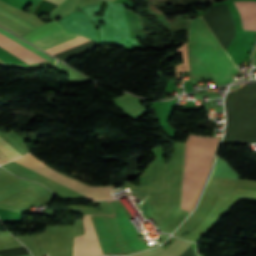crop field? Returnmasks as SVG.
Instances as JSON below:
<instances>
[{"label": "crop field", "mask_w": 256, "mask_h": 256, "mask_svg": "<svg viewBox=\"0 0 256 256\" xmlns=\"http://www.w3.org/2000/svg\"><path fill=\"white\" fill-rule=\"evenodd\" d=\"M111 215H90L103 255L130 254L150 248L141 241L134 226L116 200H107ZM89 215L83 216L85 236L75 237L74 256H101Z\"/></svg>", "instance_id": "obj_1"}, {"label": "crop field", "mask_w": 256, "mask_h": 256, "mask_svg": "<svg viewBox=\"0 0 256 256\" xmlns=\"http://www.w3.org/2000/svg\"><path fill=\"white\" fill-rule=\"evenodd\" d=\"M189 39L190 76H214L217 83L230 81L237 69L200 18L191 20Z\"/></svg>", "instance_id": "obj_2"}, {"label": "crop field", "mask_w": 256, "mask_h": 256, "mask_svg": "<svg viewBox=\"0 0 256 256\" xmlns=\"http://www.w3.org/2000/svg\"><path fill=\"white\" fill-rule=\"evenodd\" d=\"M15 161L43 174L46 175L55 181L89 197L90 199L102 200L111 198L109 189H112V186L108 187H88L78 181L66 178L61 174L53 171L49 167L43 165L37 159H35L30 154H27L23 157L16 159Z\"/></svg>", "instance_id": "obj_3"}, {"label": "crop field", "mask_w": 256, "mask_h": 256, "mask_svg": "<svg viewBox=\"0 0 256 256\" xmlns=\"http://www.w3.org/2000/svg\"><path fill=\"white\" fill-rule=\"evenodd\" d=\"M60 28H62V26H60L59 24H57L56 22H54L52 20L49 23L45 24L44 26H42V27L38 28L37 30L24 36L23 38L32 42L40 37H43L51 32H54ZM78 36H80V35L74 34V33L69 32V31L65 30L64 28H62L54 33H51L43 38H40V39L32 42V44L46 50L48 48H51L53 46H56L58 44H61L65 41H68V40L73 39Z\"/></svg>", "instance_id": "obj_4"}, {"label": "crop field", "mask_w": 256, "mask_h": 256, "mask_svg": "<svg viewBox=\"0 0 256 256\" xmlns=\"http://www.w3.org/2000/svg\"><path fill=\"white\" fill-rule=\"evenodd\" d=\"M0 34L4 35L5 37L13 40L14 42L22 45L23 47L29 49L30 51L38 54L39 56L49 60L53 59L49 55L43 53L42 51L38 50L37 48L31 46L30 44L26 43L25 41L21 40L20 38L14 36L13 34L9 33L8 31L0 28ZM0 63H6V64H26L20 59L16 58L12 54L8 53L7 51L0 48Z\"/></svg>", "instance_id": "obj_5"}, {"label": "crop field", "mask_w": 256, "mask_h": 256, "mask_svg": "<svg viewBox=\"0 0 256 256\" xmlns=\"http://www.w3.org/2000/svg\"><path fill=\"white\" fill-rule=\"evenodd\" d=\"M191 244L192 242L176 238L166 250L160 246L131 256H159L163 250L160 256H180Z\"/></svg>", "instance_id": "obj_6"}, {"label": "crop field", "mask_w": 256, "mask_h": 256, "mask_svg": "<svg viewBox=\"0 0 256 256\" xmlns=\"http://www.w3.org/2000/svg\"><path fill=\"white\" fill-rule=\"evenodd\" d=\"M243 23L244 31H256V2H235Z\"/></svg>", "instance_id": "obj_7"}, {"label": "crop field", "mask_w": 256, "mask_h": 256, "mask_svg": "<svg viewBox=\"0 0 256 256\" xmlns=\"http://www.w3.org/2000/svg\"><path fill=\"white\" fill-rule=\"evenodd\" d=\"M22 156L15 151L3 138L0 137V164Z\"/></svg>", "instance_id": "obj_8"}, {"label": "crop field", "mask_w": 256, "mask_h": 256, "mask_svg": "<svg viewBox=\"0 0 256 256\" xmlns=\"http://www.w3.org/2000/svg\"><path fill=\"white\" fill-rule=\"evenodd\" d=\"M0 13L6 15V16H8V17H10L11 19H13V20L19 22L20 24H22V25H24V26H26V27H28V28H30V29L34 28V27L31 26L30 24H28V23L24 22L23 20H21V19L15 17V16L11 15L10 13L6 12L5 10H3V9H1V8H0ZM0 25L3 26V27H5V28H7V29H9V30H11V31H13L14 33H16V34L19 35V36L23 34V33H21V32H19V31L15 30V29H13V28H11L10 26H8V25L2 23V22H0Z\"/></svg>", "instance_id": "obj_9"}, {"label": "crop field", "mask_w": 256, "mask_h": 256, "mask_svg": "<svg viewBox=\"0 0 256 256\" xmlns=\"http://www.w3.org/2000/svg\"><path fill=\"white\" fill-rule=\"evenodd\" d=\"M49 1H52V2H55V3L59 4V3L62 2L63 0H49Z\"/></svg>", "instance_id": "obj_10"}]
</instances>
